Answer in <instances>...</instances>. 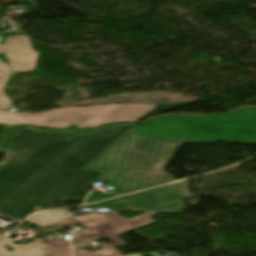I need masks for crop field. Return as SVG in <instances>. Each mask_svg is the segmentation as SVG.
I'll list each match as a JSON object with an SVG mask.
<instances>
[{
  "mask_svg": "<svg viewBox=\"0 0 256 256\" xmlns=\"http://www.w3.org/2000/svg\"><path fill=\"white\" fill-rule=\"evenodd\" d=\"M131 128L113 124L97 131L70 132L20 127L10 132L3 151H21L0 166V214L20 220L36 205L83 201L102 171L79 169Z\"/></svg>",
  "mask_w": 256,
  "mask_h": 256,
  "instance_id": "1",
  "label": "crop field"
},
{
  "mask_svg": "<svg viewBox=\"0 0 256 256\" xmlns=\"http://www.w3.org/2000/svg\"><path fill=\"white\" fill-rule=\"evenodd\" d=\"M183 143L130 131L82 170H103L95 182L114 186V193L89 194L87 202L114 197L173 180L163 165ZM119 175V177H115Z\"/></svg>",
  "mask_w": 256,
  "mask_h": 256,
  "instance_id": "2",
  "label": "crop field"
},
{
  "mask_svg": "<svg viewBox=\"0 0 256 256\" xmlns=\"http://www.w3.org/2000/svg\"><path fill=\"white\" fill-rule=\"evenodd\" d=\"M132 130L190 143L229 141L256 145V109L212 117L165 116L135 124Z\"/></svg>",
  "mask_w": 256,
  "mask_h": 256,
  "instance_id": "3",
  "label": "crop field"
},
{
  "mask_svg": "<svg viewBox=\"0 0 256 256\" xmlns=\"http://www.w3.org/2000/svg\"><path fill=\"white\" fill-rule=\"evenodd\" d=\"M143 104H107L90 107H64L37 115L0 111V123L31 124L49 128L99 127L111 122H135L155 109Z\"/></svg>",
  "mask_w": 256,
  "mask_h": 256,
  "instance_id": "4",
  "label": "crop field"
},
{
  "mask_svg": "<svg viewBox=\"0 0 256 256\" xmlns=\"http://www.w3.org/2000/svg\"><path fill=\"white\" fill-rule=\"evenodd\" d=\"M156 214L147 213L131 219L118 216L116 212H97L82 217H72L61 222L49 225L52 228H61L69 224H80L86 228L76 233L72 240L73 246H78L102 237H109L114 244L100 243L101 251L88 252L81 249H73L75 256H121V252L115 250L114 246L126 245L121 240L113 237L115 235L153 224L152 216Z\"/></svg>",
  "mask_w": 256,
  "mask_h": 256,
  "instance_id": "5",
  "label": "crop field"
},
{
  "mask_svg": "<svg viewBox=\"0 0 256 256\" xmlns=\"http://www.w3.org/2000/svg\"><path fill=\"white\" fill-rule=\"evenodd\" d=\"M188 197H190V193L185 183L179 182L84 207L109 208V210H147L169 212L184 208L180 199Z\"/></svg>",
  "mask_w": 256,
  "mask_h": 256,
  "instance_id": "6",
  "label": "crop field"
},
{
  "mask_svg": "<svg viewBox=\"0 0 256 256\" xmlns=\"http://www.w3.org/2000/svg\"><path fill=\"white\" fill-rule=\"evenodd\" d=\"M4 50L11 61L14 73L35 69L39 53L31 48L29 37L26 35L8 38Z\"/></svg>",
  "mask_w": 256,
  "mask_h": 256,
  "instance_id": "7",
  "label": "crop field"
},
{
  "mask_svg": "<svg viewBox=\"0 0 256 256\" xmlns=\"http://www.w3.org/2000/svg\"><path fill=\"white\" fill-rule=\"evenodd\" d=\"M10 245L14 251H8L5 246ZM0 256H44L41 239L25 245L13 244L11 241L0 237Z\"/></svg>",
  "mask_w": 256,
  "mask_h": 256,
  "instance_id": "8",
  "label": "crop field"
},
{
  "mask_svg": "<svg viewBox=\"0 0 256 256\" xmlns=\"http://www.w3.org/2000/svg\"><path fill=\"white\" fill-rule=\"evenodd\" d=\"M45 256H72L70 244L66 240H56L53 236L42 239ZM51 241V244L46 242Z\"/></svg>",
  "mask_w": 256,
  "mask_h": 256,
  "instance_id": "9",
  "label": "crop field"
},
{
  "mask_svg": "<svg viewBox=\"0 0 256 256\" xmlns=\"http://www.w3.org/2000/svg\"><path fill=\"white\" fill-rule=\"evenodd\" d=\"M73 214L64 210L44 212L30 217L27 221L39 226L49 225L60 220L72 217Z\"/></svg>",
  "mask_w": 256,
  "mask_h": 256,
  "instance_id": "10",
  "label": "crop field"
},
{
  "mask_svg": "<svg viewBox=\"0 0 256 256\" xmlns=\"http://www.w3.org/2000/svg\"><path fill=\"white\" fill-rule=\"evenodd\" d=\"M11 75L10 69L6 63L0 61V107L10 105L9 99L4 95L3 86L7 83Z\"/></svg>",
  "mask_w": 256,
  "mask_h": 256,
  "instance_id": "11",
  "label": "crop field"
},
{
  "mask_svg": "<svg viewBox=\"0 0 256 256\" xmlns=\"http://www.w3.org/2000/svg\"><path fill=\"white\" fill-rule=\"evenodd\" d=\"M17 126L14 125H3L0 124V138L3 136V134L7 131V130H12L14 128H16ZM1 149V148H0Z\"/></svg>",
  "mask_w": 256,
  "mask_h": 256,
  "instance_id": "12",
  "label": "crop field"
},
{
  "mask_svg": "<svg viewBox=\"0 0 256 256\" xmlns=\"http://www.w3.org/2000/svg\"><path fill=\"white\" fill-rule=\"evenodd\" d=\"M126 256H140V254L126 255Z\"/></svg>",
  "mask_w": 256,
  "mask_h": 256,
  "instance_id": "13",
  "label": "crop field"
},
{
  "mask_svg": "<svg viewBox=\"0 0 256 256\" xmlns=\"http://www.w3.org/2000/svg\"><path fill=\"white\" fill-rule=\"evenodd\" d=\"M0 53H2V45L0 44Z\"/></svg>",
  "mask_w": 256,
  "mask_h": 256,
  "instance_id": "14",
  "label": "crop field"
}]
</instances>
